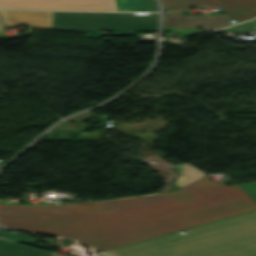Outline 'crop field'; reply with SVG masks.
Masks as SVG:
<instances>
[{
  "label": "crop field",
  "instance_id": "5",
  "mask_svg": "<svg viewBox=\"0 0 256 256\" xmlns=\"http://www.w3.org/2000/svg\"><path fill=\"white\" fill-rule=\"evenodd\" d=\"M0 7L117 11L115 0H0Z\"/></svg>",
  "mask_w": 256,
  "mask_h": 256
},
{
  "label": "crop field",
  "instance_id": "8",
  "mask_svg": "<svg viewBox=\"0 0 256 256\" xmlns=\"http://www.w3.org/2000/svg\"><path fill=\"white\" fill-rule=\"evenodd\" d=\"M50 252L39 251L0 239V256H50Z\"/></svg>",
  "mask_w": 256,
  "mask_h": 256
},
{
  "label": "crop field",
  "instance_id": "1",
  "mask_svg": "<svg viewBox=\"0 0 256 256\" xmlns=\"http://www.w3.org/2000/svg\"><path fill=\"white\" fill-rule=\"evenodd\" d=\"M176 192L54 206L1 205L0 224L72 238L100 251L256 210L237 185H218L200 171L176 167Z\"/></svg>",
  "mask_w": 256,
  "mask_h": 256
},
{
  "label": "crop field",
  "instance_id": "4",
  "mask_svg": "<svg viewBox=\"0 0 256 256\" xmlns=\"http://www.w3.org/2000/svg\"><path fill=\"white\" fill-rule=\"evenodd\" d=\"M165 10L221 5L230 19L238 21L256 17V0H162Z\"/></svg>",
  "mask_w": 256,
  "mask_h": 256
},
{
  "label": "crop field",
  "instance_id": "9",
  "mask_svg": "<svg viewBox=\"0 0 256 256\" xmlns=\"http://www.w3.org/2000/svg\"><path fill=\"white\" fill-rule=\"evenodd\" d=\"M0 237L11 239V240H14L16 242L19 241V242H23V243H28V244H32V245L46 247L45 244L30 241L31 238L29 236L18 234V233H13V232L0 230Z\"/></svg>",
  "mask_w": 256,
  "mask_h": 256
},
{
  "label": "crop field",
  "instance_id": "6",
  "mask_svg": "<svg viewBox=\"0 0 256 256\" xmlns=\"http://www.w3.org/2000/svg\"><path fill=\"white\" fill-rule=\"evenodd\" d=\"M0 16L6 28L22 25L31 27L24 35L10 36L2 32L4 29L0 23V39H6L25 37L32 33L34 27L51 29L53 12L0 9Z\"/></svg>",
  "mask_w": 256,
  "mask_h": 256
},
{
  "label": "crop field",
  "instance_id": "2",
  "mask_svg": "<svg viewBox=\"0 0 256 256\" xmlns=\"http://www.w3.org/2000/svg\"><path fill=\"white\" fill-rule=\"evenodd\" d=\"M115 249L110 256H256V211Z\"/></svg>",
  "mask_w": 256,
  "mask_h": 256
},
{
  "label": "crop field",
  "instance_id": "7",
  "mask_svg": "<svg viewBox=\"0 0 256 256\" xmlns=\"http://www.w3.org/2000/svg\"><path fill=\"white\" fill-rule=\"evenodd\" d=\"M227 25L229 22L225 15L185 17L183 12L164 13V26L169 27L199 29Z\"/></svg>",
  "mask_w": 256,
  "mask_h": 256
},
{
  "label": "crop field",
  "instance_id": "11",
  "mask_svg": "<svg viewBox=\"0 0 256 256\" xmlns=\"http://www.w3.org/2000/svg\"><path fill=\"white\" fill-rule=\"evenodd\" d=\"M51 256H62V255H56V254H52Z\"/></svg>",
  "mask_w": 256,
  "mask_h": 256
},
{
  "label": "crop field",
  "instance_id": "3",
  "mask_svg": "<svg viewBox=\"0 0 256 256\" xmlns=\"http://www.w3.org/2000/svg\"><path fill=\"white\" fill-rule=\"evenodd\" d=\"M52 29L87 32L99 38L101 30L115 35H136V31H157V14L55 12Z\"/></svg>",
  "mask_w": 256,
  "mask_h": 256
},
{
  "label": "crop field",
  "instance_id": "10",
  "mask_svg": "<svg viewBox=\"0 0 256 256\" xmlns=\"http://www.w3.org/2000/svg\"><path fill=\"white\" fill-rule=\"evenodd\" d=\"M238 186H240L254 201H256V181L248 184H240Z\"/></svg>",
  "mask_w": 256,
  "mask_h": 256
}]
</instances>
